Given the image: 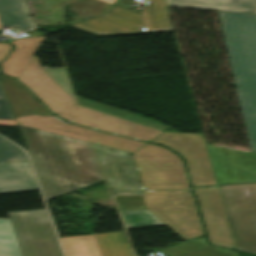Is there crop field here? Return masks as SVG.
Instances as JSON below:
<instances>
[{
	"label": "crop field",
	"mask_w": 256,
	"mask_h": 256,
	"mask_svg": "<svg viewBox=\"0 0 256 256\" xmlns=\"http://www.w3.org/2000/svg\"><path fill=\"white\" fill-rule=\"evenodd\" d=\"M133 158L142 189H189L182 161L171 151L146 144Z\"/></svg>",
	"instance_id": "obj_5"
},
{
	"label": "crop field",
	"mask_w": 256,
	"mask_h": 256,
	"mask_svg": "<svg viewBox=\"0 0 256 256\" xmlns=\"http://www.w3.org/2000/svg\"><path fill=\"white\" fill-rule=\"evenodd\" d=\"M92 142L98 143L101 145H105L108 147L116 148L119 150H123L126 152L134 153L137 151L139 148H141L144 143L132 141V140H127L91 130H87Z\"/></svg>",
	"instance_id": "obj_22"
},
{
	"label": "crop field",
	"mask_w": 256,
	"mask_h": 256,
	"mask_svg": "<svg viewBox=\"0 0 256 256\" xmlns=\"http://www.w3.org/2000/svg\"><path fill=\"white\" fill-rule=\"evenodd\" d=\"M115 199L126 229L165 224L144 207L143 196H115Z\"/></svg>",
	"instance_id": "obj_13"
},
{
	"label": "crop field",
	"mask_w": 256,
	"mask_h": 256,
	"mask_svg": "<svg viewBox=\"0 0 256 256\" xmlns=\"http://www.w3.org/2000/svg\"><path fill=\"white\" fill-rule=\"evenodd\" d=\"M44 42L43 37L22 38L11 42L15 44V52L9 59L2 63L3 70L6 74L18 78L36 52Z\"/></svg>",
	"instance_id": "obj_15"
},
{
	"label": "crop field",
	"mask_w": 256,
	"mask_h": 256,
	"mask_svg": "<svg viewBox=\"0 0 256 256\" xmlns=\"http://www.w3.org/2000/svg\"><path fill=\"white\" fill-rule=\"evenodd\" d=\"M15 119L46 200L104 180L84 128L54 116Z\"/></svg>",
	"instance_id": "obj_1"
},
{
	"label": "crop field",
	"mask_w": 256,
	"mask_h": 256,
	"mask_svg": "<svg viewBox=\"0 0 256 256\" xmlns=\"http://www.w3.org/2000/svg\"><path fill=\"white\" fill-rule=\"evenodd\" d=\"M0 82L5 91L9 105L15 117L39 113L50 115V113L25 89L14 80L0 75Z\"/></svg>",
	"instance_id": "obj_14"
},
{
	"label": "crop field",
	"mask_w": 256,
	"mask_h": 256,
	"mask_svg": "<svg viewBox=\"0 0 256 256\" xmlns=\"http://www.w3.org/2000/svg\"><path fill=\"white\" fill-rule=\"evenodd\" d=\"M145 13L150 32L171 31L164 0H151Z\"/></svg>",
	"instance_id": "obj_21"
},
{
	"label": "crop field",
	"mask_w": 256,
	"mask_h": 256,
	"mask_svg": "<svg viewBox=\"0 0 256 256\" xmlns=\"http://www.w3.org/2000/svg\"><path fill=\"white\" fill-rule=\"evenodd\" d=\"M39 190L28 161L0 164V193Z\"/></svg>",
	"instance_id": "obj_12"
},
{
	"label": "crop field",
	"mask_w": 256,
	"mask_h": 256,
	"mask_svg": "<svg viewBox=\"0 0 256 256\" xmlns=\"http://www.w3.org/2000/svg\"><path fill=\"white\" fill-rule=\"evenodd\" d=\"M27 160L25 153L14 144L0 137V163Z\"/></svg>",
	"instance_id": "obj_24"
},
{
	"label": "crop field",
	"mask_w": 256,
	"mask_h": 256,
	"mask_svg": "<svg viewBox=\"0 0 256 256\" xmlns=\"http://www.w3.org/2000/svg\"><path fill=\"white\" fill-rule=\"evenodd\" d=\"M103 1H106V2H109V3L113 4V3L117 2L118 0H103Z\"/></svg>",
	"instance_id": "obj_30"
},
{
	"label": "crop field",
	"mask_w": 256,
	"mask_h": 256,
	"mask_svg": "<svg viewBox=\"0 0 256 256\" xmlns=\"http://www.w3.org/2000/svg\"><path fill=\"white\" fill-rule=\"evenodd\" d=\"M18 79L55 114L70 122L147 142L162 133V131L78 105L66 69L42 70L35 56Z\"/></svg>",
	"instance_id": "obj_2"
},
{
	"label": "crop field",
	"mask_w": 256,
	"mask_h": 256,
	"mask_svg": "<svg viewBox=\"0 0 256 256\" xmlns=\"http://www.w3.org/2000/svg\"><path fill=\"white\" fill-rule=\"evenodd\" d=\"M72 27L96 36H108L141 33V27L146 25L143 16L116 6L102 17L79 22Z\"/></svg>",
	"instance_id": "obj_11"
},
{
	"label": "crop field",
	"mask_w": 256,
	"mask_h": 256,
	"mask_svg": "<svg viewBox=\"0 0 256 256\" xmlns=\"http://www.w3.org/2000/svg\"><path fill=\"white\" fill-rule=\"evenodd\" d=\"M251 151H256V15L218 11Z\"/></svg>",
	"instance_id": "obj_3"
},
{
	"label": "crop field",
	"mask_w": 256,
	"mask_h": 256,
	"mask_svg": "<svg viewBox=\"0 0 256 256\" xmlns=\"http://www.w3.org/2000/svg\"><path fill=\"white\" fill-rule=\"evenodd\" d=\"M77 98L79 100L80 105L88 107V108H92V109H95V110H98V111H101L104 113H108V114H111V115H114V116H117L120 118H124V119L130 120V121L136 122V123H140V124L152 127V128H156V129H159L162 131L166 130L169 127L165 124H162V123L152 120V119H148V118L136 115V114H132V113H129V112H126V111H123L120 109H116V108H113V107H110V106H107L104 104H100V103H97V102H94V101H91L88 99H84L81 97H77Z\"/></svg>",
	"instance_id": "obj_19"
},
{
	"label": "crop field",
	"mask_w": 256,
	"mask_h": 256,
	"mask_svg": "<svg viewBox=\"0 0 256 256\" xmlns=\"http://www.w3.org/2000/svg\"><path fill=\"white\" fill-rule=\"evenodd\" d=\"M2 27L15 26L21 33L38 28L30 18L24 0H0Z\"/></svg>",
	"instance_id": "obj_17"
},
{
	"label": "crop field",
	"mask_w": 256,
	"mask_h": 256,
	"mask_svg": "<svg viewBox=\"0 0 256 256\" xmlns=\"http://www.w3.org/2000/svg\"><path fill=\"white\" fill-rule=\"evenodd\" d=\"M178 256H238L236 252L208 246Z\"/></svg>",
	"instance_id": "obj_26"
},
{
	"label": "crop field",
	"mask_w": 256,
	"mask_h": 256,
	"mask_svg": "<svg viewBox=\"0 0 256 256\" xmlns=\"http://www.w3.org/2000/svg\"><path fill=\"white\" fill-rule=\"evenodd\" d=\"M95 236L102 256H132L124 232Z\"/></svg>",
	"instance_id": "obj_18"
},
{
	"label": "crop field",
	"mask_w": 256,
	"mask_h": 256,
	"mask_svg": "<svg viewBox=\"0 0 256 256\" xmlns=\"http://www.w3.org/2000/svg\"><path fill=\"white\" fill-rule=\"evenodd\" d=\"M168 6L256 14V0H166Z\"/></svg>",
	"instance_id": "obj_16"
},
{
	"label": "crop field",
	"mask_w": 256,
	"mask_h": 256,
	"mask_svg": "<svg viewBox=\"0 0 256 256\" xmlns=\"http://www.w3.org/2000/svg\"><path fill=\"white\" fill-rule=\"evenodd\" d=\"M144 201L184 240L203 235L191 191H145Z\"/></svg>",
	"instance_id": "obj_4"
},
{
	"label": "crop field",
	"mask_w": 256,
	"mask_h": 256,
	"mask_svg": "<svg viewBox=\"0 0 256 256\" xmlns=\"http://www.w3.org/2000/svg\"><path fill=\"white\" fill-rule=\"evenodd\" d=\"M66 256H99L92 235L61 239Z\"/></svg>",
	"instance_id": "obj_20"
},
{
	"label": "crop field",
	"mask_w": 256,
	"mask_h": 256,
	"mask_svg": "<svg viewBox=\"0 0 256 256\" xmlns=\"http://www.w3.org/2000/svg\"><path fill=\"white\" fill-rule=\"evenodd\" d=\"M207 147L219 185L256 181V152Z\"/></svg>",
	"instance_id": "obj_9"
},
{
	"label": "crop field",
	"mask_w": 256,
	"mask_h": 256,
	"mask_svg": "<svg viewBox=\"0 0 256 256\" xmlns=\"http://www.w3.org/2000/svg\"><path fill=\"white\" fill-rule=\"evenodd\" d=\"M209 240L212 244L235 248L220 189L196 190Z\"/></svg>",
	"instance_id": "obj_10"
},
{
	"label": "crop field",
	"mask_w": 256,
	"mask_h": 256,
	"mask_svg": "<svg viewBox=\"0 0 256 256\" xmlns=\"http://www.w3.org/2000/svg\"><path fill=\"white\" fill-rule=\"evenodd\" d=\"M0 256H22L9 219H0Z\"/></svg>",
	"instance_id": "obj_23"
},
{
	"label": "crop field",
	"mask_w": 256,
	"mask_h": 256,
	"mask_svg": "<svg viewBox=\"0 0 256 256\" xmlns=\"http://www.w3.org/2000/svg\"><path fill=\"white\" fill-rule=\"evenodd\" d=\"M151 142L168 146L186 158L194 187L218 185L203 135L163 132Z\"/></svg>",
	"instance_id": "obj_8"
},
{
	"label": "crop field",
	"mask_w": 256,
	"mask_h": 256,
	"mask_svg": "<svg viewBox=\"0 0 256 256\" xmlns=\"http://www.w3.org/2000/svg\"><path fill=\"white\" fill-rule=\"evenodd\" d=\"M204 246H208V244L206 243V240L203 237V238L195 239L186 243L161 249V251L166 255L174 256V255H178V254L188 252L194 249H198Z\"/></svg>",
	"instance_id": "obj_25"
},
{
	"label": "crop field",
	"mask_w": 256,
	"mask_h": 256,
	"mask_svg": "<svg viewBox=\"0 0 256 256\" xmlns=\"http://www.w3.org/2000/svg\"><path fill=\"white\" fill-rule=\"evenodd\" d=\"M0 100H6V97L1 85H0Z\"/></svg>",
	"instance_id": "obj_29"
},
{
	"label": "crop field",
	"mask_w": 256,
	"mask_h": 256,
	"mask_svg": "<svg viewBox=\"0 0 256 256\" xmlns=\"http://www.w3.org/2000/svg\"><path fill=\"white\" fill-rule=\"evenodd\" d=\"M0 28H1V26H0Z\"/></svg>",
	"instance_id": "obj_31"
},
{
	"label": "crop field",
	"mask_w": 256,
	"mask_h": 256,
	"mask_svg": "<svg viewBox=\"0 0 256 256\" xmlns=\"http://www.w3.org/2000/svg\"><path fill=\"white\" fill-rule=\"evenodd\" d=\"M0 119H14L7 101H0Z\"/></svg>",
	"instance_id": "obj_27"
},
{
	"label": "crop field",
	"mask_w": 256,
	"mask_h": 256,
	"mask_svg": "<svg viewBox=\"0 0 256 256\" xmlns=\"http://www.w3.org/2000/svg\"><path fill=\"white\" fill-rule=\"evenodd\" d=\"M8 214L23 256H62L45 210Z\"/></svg>",
	"instance_id": "obj_7"
},
{
	"label": "crop field",
	"mask_w": 256,
	"mask_h": 256,
	"mask_svg": "<svg viewBox=\"0 0 256 256\" xmlns=\"http://www.w3.org/2000/svg\"><path fill=\"white\" fill-rule=\"evenodd\" d=\"M11 50V45L0 43V61L6 58Z\"/></svg>",
	"instance_id": "obj_28"
},
{
	"label": "crop field",
	"mask_w": 256,
	"mask_h": 256,
	"mask_svg": "<svg viewBox=\"0 0 256 256\" xmlns=\"http://www.w3.org/2000/svg\"><path fill=\"white\" fill-rule=\"evenodd\" d=\"M220 189L236 248L256 253V183Z\"/></svg>",
	"instance_id": "obj_6"
}]
</instances>
